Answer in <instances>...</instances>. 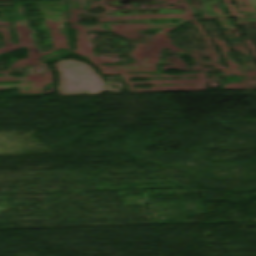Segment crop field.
<instances>
[{
	"mask_svg": "<svg viewBox=\"0 0 256 256\" xmlns=\"http://www.w3.org/2000/svg\"><path fill=\"white\" fill-rule=\"evenodd\" d=\"M251 1H252L253 5H254L255 8H256V0H251Z\"/></svg>",
	"mask_w": 256,
	"mask_h": 256,
	"instance_id": "8a807250",
	"label": "crop field"
}]
</instances>
